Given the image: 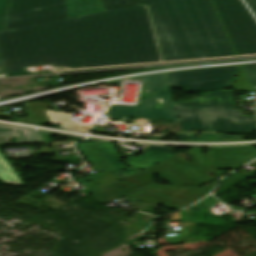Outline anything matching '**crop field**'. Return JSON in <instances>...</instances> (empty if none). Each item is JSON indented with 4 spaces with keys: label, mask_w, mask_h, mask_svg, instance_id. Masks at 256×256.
I'll use <instances>...</instances> for the list:
<instances>
[{
    "label": "crop field",
    "mask_w": 256,
    "mask_h": 256,
    "mask_svg": "<svg viewBox=\"0 0 256 256\" xmlns=\"http://www.w3.org/2000/svg\"><path fill=\"white\" fill-rule=\"evenodd\" d=\"M183 131H212L205 108H183L176 106Z\"/></svg>",
    "instance_id": "crop-field-12"
},
{
    "label": "crop field",
    "mask_w": 256,
    "mask_h": 256,
    "mask_svg": "<svg viewBox=\"0 0 256 256\" xmlns=\"http://www.w3.org/2000/svg\"><path fill=\"white\" fill-rule=\"evenodd\" d=\"M155 1H161V0H143L144 4L155 2Z\"/></svg>",
    "instance_id": "crop-field-29"
},
{
    "label": "crop field",
    "mask_w": 256,
    "mask_h": 256,
    "mask_svg": "<svg viewBox=\"0 0 256 256\" xmlns=\"http://www.w3.org/2000/svg\"><path fill=\"white\" fill-rule=\"evenodd\" d=\"M5 76H6V74H1V75H0V77H5Z\"/></svg>",
    "instance_id": "crop-field-31"
},
{
    "label": "crop field",
    "mask_w": 256,
    "mask_h": 256,
    "mask_svg": "<svg viewBox=\"0 0 256 256\" xmlns=\"http://www.w3.org/2000/svg\"><path fill=\"white\" fill-rule=\"evenodd\" d=\"M250 84L256 83V66L243 67Z\"/></svg>",
    "instance_id": "crop-field-24"
},
{
    "label": "crop field",
    "mask_w": 256,
    "mask_h": 256,
    "mask_svg": "<svg viewBox=\"0 0 256 256\" xmlns=\"http://www.w3.org/2000/svg\"><path fill=\"white\" fill-rule=\"evenodd\" d=\"M219 141H244L245 137L236 136V135H221L216 134Z\"/></svg>",
    "instance_id": "crop-field-25"
},
{
    "label": "crop field",
    "mask_w": 256,
    "mask_h": 256,
    "mask_svg": "<svg viewBox=\"0 0 256 256\" xmlns=\"http://www.w3.org/2000/svg\"><path fill=\"white\" fill-rule=\"evenodd\" d=\"M251 166H255V167H256V163L252 164ZM255 173H256V170H254V171H253L252 173H250V174L248 173L249 175H247V176H244V175L239 174V173H237V172L233 173L232 175H230V176H228L227 178H225V179L222 180V182H221V184H220V186H219V188H218L216 194H219V193H221V192H223V191H225V190H227V189L233 187L234 184H236V183H238V182H240V181L246 179V177H249V176H251V175H253V174H255ZM237 175H240V176L237 177V178H235V176H237ZM232 180H234V181H233V182H230V181H232ZM244 181H245V180H244ZM242 182H243V181H242ZM240 183H241V182H240Z\"/></svg>",
    "instance_id": "crop-field-20"
},
{
    "label": "crop field",
    "mask_w": 256,
    "mask_h": 256,
    "mask_svg": "<svg viewBox=\"0 0 256 256\" xmlns=\"http://www.w3.org/2000/svg\"><path fill=\"white\" fill-rule=\"evenodd\" d=\"M147 169L174 185L202 186L215 180V178L205 173L179 154Z\"/></svg>",
    "instance_id": "crop-field-7"
},
{
    "label": "crop field",
    "mask_w": 256,
    "mask_h": 256,
    "mask_svg": "<svg viewBox=\"0 0 256 256\" xmlns=\"http://www.w3.org/2000/svg\"><path fill=\"white\" fill-rule=\"evenodd\" d=\"M0 178L7 183L24 185L0 151Z\"/></svg>",
    "instance_id": "crop-field-17"
},
{
    "label": "crop field",
    "mask_w": 256,
    "mask_h": 256,
    "mask_svg": "<svg viewBox=\"0 0 256 256\" xmlns=\"http://www.w3.org/2000/svg\"><path fill=\"white\" fill-rule=\"evenodd\" d=\"M70 18L103 12L102 0H67Z\"/></svg>",
    "instance_id": "crop-field-14"
},
{
    "label": "crop field",
    "mask_w": 256,
    "mask_h": 256,
    "mask_svg": "<svg viewBox=\"0 0 256 256\" xmlns=\"http://www.w3.org/2000/svg\"><path fill=\"white\" fill-rule=\"evenodd\" d=\"M5 129H13L8 131ZM16 137L17 142H10L11 138ZM41 141L37 137L35 131L0 126V144H29L40 143Z\"/></svg>",
    "instance_id": "crop-field-13"
},
{
    "label": "crop field",
    "mask_w": 256,
    "mask_h": 256,
    "mask_svg": "<svg viewBox=\"0 0 256 256\" xmlns=\"http://www.w3.org/2000/svg\"><path fill=\"white\" fill-rule=\"evenodd\" d=\"M218 182V181H217ZM217 182L202 188H190V187H182V186H158L154 183L144 187L147 190L164 194L174 199L185 202L188 206L200 200L207 193L211 192L216 186ZM162 189L161 191H158Z\"/></svg>",
    "instance_id": "crop-field-11"
},
{
    "label": "crop field",
    "mask_w": 256,
    "mask_h": 256,
    "mask_svg": "<svg viewBox=\"0 0 256 256\" xmlns=\"http://www.w3.org/2000/svg\"><path fill=\"white\" fill-rule=\"evenodd\" d=\"M75 181H77V182H79V183L85 182V181H83V180H81V179H78V180H75Z\"/></svg>",
    "instance_id": "crop-field-30"
},
{
    "label": "crop field",
    "mask_w": 256,
    "mask_h": 256,
    "mask_svg": "<svg viewBox=\"0 0 256 256\" xmlns=\"http://www.w3.org/2000/svg\"><path fill=\"white\" fill-rule=\"evenodd\" d=\"M233 86L237 90H251L249 87L248 80H247L243 70L239 74V76Z\"/></svg>",
    "instance_id": "crop-field-23"
},
{
    "label": "crop field",
    "mask_w": 256,
    "mask_h": 256,
    "mask_svg": "<svg viewBox=\"0 0 256 256\" xmlns=\"http://www.w3.org/2000/svg\"><path fill=\"white\" fill-rule=\"evenodd\" d=\"M126 197L133 199V200H137V201H143V202L152 200L159 204H163L166 201L170 200L164 205L166 208H178V209L184 208V205L181 202H178V201H175L172 199H168V198H164L155 193H152V192H149L146 190H142V189H140ZM167 205H170V207H167Z\"/></svg>",
    "instance_id": "crop-field-15"
},
{
    "label": "crop field",
    "mask_w": 256,
    "mask_h": 256,
    "mask_svg": "<svg viewBox=\"0 0 256 256\" xmlns=\"http://www.w3.org/2000/svg\"><path fill=\"white\" fill-rule=\"evenodd\" d=\"M208 154H202L201 148L191 149L188 154L192 163L199 166L204 171L213 174L216 178L222 175L217 168H236L254 158H256V149L252 146L247 147H215L207 148ZM237 150V152H233ZM237 158V160H234Z\"/></svg>",
    "instance_id": "crop-field-6"
},
{
    "label": "crop field",
    "mask_w": 256,
    "mask_h": 256,
    "mask_svg": "<svg viewBox=\"0 0 256 256\" xmlns=\"http://www.w3.org/2000/svg\"><path fill=\"white\" fill-rule=\"evenodd\" d=\"M256 14V0H245Z\"/></svg>",
    "instance_id": "crop-field-27"
},
{
    "label": "crop field",
    "mask_w": 256,
    "mask_h": 256,
    "mask_svg": "<svg viewBox=\"0 0 256 256\" xmlns=\"http://www.w3.org/2000/svg\"><path fill=\"white\" fill-rule=\"evenodd\" d=\"M0 52L7 74L29 65L79 69L162 61L147 6L69 19L66 0H13Z\"/></svg>",
    "instance_id": "crop-field-1"
},
{
    "label": "crop field",
    "mask_w": 256,
    "mask_h": 256,
    "mask_svg": "<svg viewBox=\"0 0 256 256\" xmlns=\"http://www.w3.org/2000/svg\"><path fill=\"white\" fill-rule=\"evenodd\" d=\"M77 146L84 154L86 159H88L89 162L94 161L97 168H99L102 172L100 174L93 175L83 179L85 181L91 180V183H82V185L96 191L102 187H105L109 184L118 181L116 175L110 169L105 159L101 160L103 156L100 153L95 142L77 143ZM96 183H98L99 185H95Z\"/></svg>",
    "instance_id": "crop-field-10"
},
{
    "label": "crop field",
    "mask_w": 256,
    "mask_h": 256,
    "mask_svg": "<svg viewBox=\"0 0 256 256\" xmlns=\"http://www.w3.org/2000/svg\"><path fill=\"white\" fill-rule=\"evenodd\" d=\"M128 80H145V91L142 93L138 107L110 106L109 114L115 120L125 115L179 121L165 74L144 76ZM127 81V80H122ZM122 81L109 84L121 85Z\"/></svg>",
    "instance_id": "crop-field-4"
},
{
    "label": "crop field",
    "mask_w": 256,
    "mask_h": 256,
    "mask_svg": "<svg viewBox=\"0 0 256 256\" xmlns=\"http://www.w3.org/2000/svg\"><path fill=\"white\" fill-rule=\"evenodd\" d=\"M238 69L239 66H234L181 71L168 75L172 88L185 87L189 92L212 91L228 88ZM175 104L183 107H206L213 131L242 134L256 132V119L243 116L238 111L233 92H207L203 97Z\"/></svg>",
    "instance_id": "crop-field-3"
},
{
    "label": "crop field",
    "mask_w": 256,
    "mask_h": 256,
    "mask_svg": "<svg viewBox=\"0 0 256 256\" xmlns=\"http://www.w3.org/2000/svg\"><path fill=\"white\" fill-rule=\"evenodd\" d=\"M148 5L163 61L236 55L210 0Z\"/></svg>",
    "instance_id": "crop-field-2"
},
{
    "label": "crop field",
    "mask_w": 256,
    "mask_h": 256,
    "mask_svg": "<svg viewBox=\"0 0 256 256\" xmlns=\"http://www.w3.org/2000/svg\"><path fill=\"white\" fill-rule=\"evenodd\" d=\"M155 176L156 175H154L153 173L144 169L123 180L142 188L152 182H155V179H154ZM119 187H123L124 189L122 190ZM138 189L140 188L118 181L92 194L97 202L105 204L110 201L121 198L123 196H126Z\"/></svg>",
    "instance_id": "crop-field-9"
},
{
    "label": "crop field",
    "mask_w": 256,
    "mask_h": 256,
    "mask_svg": "<svg viewBox=\"0 0 256 256\" xmlns=\"http://www.w3.org/2000/svg\"><path fill=\"white\" fill-rule=\"evenodd\" d=\"M105 10H115L143 4L142 0H103Z\"/></svg>",
    "instance_id": "crop-field-21"
},
{
    "label": "crop field",
    "mask_w": 256,
    "mask_h": 256,
    "mask_svg": "<svg viewBox=\"0 0 256 256\" xmlns=\"http://www.w3.org/2000/svg\"><path fill=\"white\" fill-rule=\"evenodd\" d=\"M39 134L44 142H49V137L53 136L52 134L42 132H39Z\"/></svg>",
    "instance_id": "crop-field-28"
},
{
    "label": "crop field",
    "mask_w": 256,
    "mask_h": 256,
    "mask_svg": "<svg viewBox=\"0 0 256 256\" xmlns=\"http://www.w3.org/2000/svg\"><path fill=\"white\" fill-rule=\"evenodd\" d=\"M26 110L35 125L49 123V120L45 114L48 103L34 102L25 103ZM40 106L43 108L40 109Z\"/></svg>",
    "instance_id": "crop-field-16"
},
{
    "label": "crop field",
    "mask_w": 256,
    "mask_h": 256,
    "mask_svg": "<svg viewBox=\"0 0 256 256\" xmlns=\"http://www.w3.org/2000/svg\"><path fill=\"white\" fill-rule=\"evenodd\" d=\"M180 141H215L213 134H203V137H196L194 134H178Z\"/></svg>",
    "instance_id": "crop-field-22"
},
{
    "label": "crop field",
    "mask_w": 256,
    "mask_h": 256,
    "mask_svg": "<svg viewBox=\"0 0 256 256\" xmlns=\"http://www.w3.org/2000/svg\"><path fill=\"white\" fill-rule=\"evenodd\" d=\"M97 145L102 148L109 164L120 179L126 178L144 168H147L155 163H158L166 158L177 154L176 152L166 147L148 146L145 149V154L130 158L128 160L129 164H131L133 167L126 169L119 162L118 153L112 143L98 142ZM120 170H123V172H121Z\"/></svg>",
    "instance_id": "crop-field-8"
},
{
    "label": "crop field",
    "mask_w": 256,
    "mask_h": 256,
    "mask_svg": "<svg viewBox=\"0 0 256 256\" xmlns=\"http://www.w3.org/2000/svg\"><path fill=\"white\" fill-rule=\"evenodd\" d=\"M12 0H0V31L5 30ZM0 73H6L0 55Z\"/></svg>",
    "instance_id": "crop-field-19"
},
{
    "label": "crop field",
    "mask_w": 256,
    "mask_h": 256,
    "mask_svg": "<svg viewBox=\"0 0 256 256\" xmlns=\"http://www.w3.org/2000/svg\"><path fill=\"white\" fill-rule=\"evenodd\" d=\"M10 109H11L10 107L0 108V111L10 110ZM0 117H8V118H12L15 122L30 124L27 118L15 119V118L11 117L10 114H1L0 113Z\"/></svg>",
    "instance_id": "crop-field-26"
},
{
    "label": "crop field",
    "mask_w": 256,
    "mask_h": 256,
    "mask_svg": "<svg viewBox=\"0 0 256 256\" xmlns=\"http://www.w3.org/2000/svg\"><path fill=\"white\" fill-rule=\"evenodd\" d=\"M48 115L52 121V123H63L62 128L71 129L75 131L82 132L85 125H79L72 121H69L72 115L61 113V112H54V111H47Z\"/></svg>",
    "instance_id": "crop-field-18"
},
{
    "label": "crop field",
    "mask_w": 256,
    "mask_h": 256,
    "mask_svg": "<svg viewBox=\"0 0 256 256\" xmlns=\"http://www.w3.org/2000/svg\"><path fill=\"white\" fill-rule=\"evenodd\" d=\"M213 1L238 54H256V21L241 0Z\"/></svg>",
    "instance_id": "crop-field-5"
}]
</instances>
